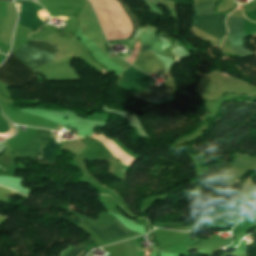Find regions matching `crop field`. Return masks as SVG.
<instances>
[{
	"instance_id": "crop-field-1",
	"label": "crop field",
	"mask_w": 256,
	"mask_h": 256,
	"mask_svg": "<svg viewBox=\"0 0 256 256\" xmlns=\"http://www.w3.org/2000/svg\"><path fill=\"white\" fill-rule=\"evenodd\" d=\"M150 78L130 66L121 73L118 85L129 93H136L149 88ZM153 82L154 79H151L150 88L146 92L131 95L142 102H152L156 105L173 98L169 91L163 88L153 87Z\"/></svg>"
},
{
	"instance_id": "crop-field-2",
	"label": "crop field",
	"mask_w": 256,
	"mask_h": 256,
	"mask_svg": "<svg viewBox=\"0 0 256 256\" xmlns=\"http://www.w3.org/2000/svg\"><path fill=\"white\" fill-rule=\"evenodd\" d=\"M14 53L34 70L52 62L56 56L55 48L51 44L35 40L26 41Z\"/></svg>"
},
{
	"instance_id": "crop-field-3",
	"label": "crop field",
	"mask_w": 256,
	"mask_h": 256,
	"mask_svg": "<svg viewBox=\"0 0 256 256\" xmlns=\"http://www.w3.org/2000/svg\"><path fill=\"white\" fill-rule=\"evenodd\" d=\"M38 75L19 61L12 52L0 67V81L11 86H23Z\"/></svg>"
},
{
	"instance_id": "crop-field-4",
	"label": "crop field",
	"mask_w": 256,
	"mask_h": 256,
	"mask_svg": "<svg viewBox=\"0 0 256 256\" xmlns=\"http://www.w3.org/2000/svg\"><path fill=\"white\" fill-rule=\"evenodd\" d=\"M245 27V38L256 34V23L243 18ZM242 18L228 17L226 25L229 30L230 46L232 50L241 58L252 55L254 53L244 49V27Z\"/></svg>"
},
{
	"instance_id": "crop-field-5",
	"label": "crop field",
	"mask_w": 256,
	"mask_h": 256,
	"mask_svg": "<svg viewBox=\"0 0 256 256\" xmlns=\"http://www.w3.org/2000/svg\"><path fill=\"white\" fill-rule=\"evenodd\" d=\"M16 5L20 4L19 8V24L28 26L34 30H37L40 25L44 24L48 15L37 3L30 1H17L15 0Z\"/></svg>"
},
{
	"instance_id": "crop-field-6",
	"label": "crop field",
	"mask_w": 256,
	"mask_h": 256,
	"mask_svg": "<svg viewBox=\"0 0 256 256\" xmlns=\"http://www.w3.org/2000/svg\"><path fill=\"white\" fill-rule=\"evenodd\" d=\"M225 17L226 16L223 14L193 16V25L222 39L226 33V26L224 24Z\"/></svg>"
},
{
	"instance_id": "crop-field-7",
	"label": "crop field",
	"mask_w": 256,
	"mask_h": 256,
	"mask_svg": "<svg viewBox=\"0 0 256 256\" xmlns=\"http://www.w3.org/2000/svg\"><path fill=\"white\" fill-rule=\"evenodd\" d=\"M87 227H89L96 235L97 237L102 240L103 242L117 239L120 237L128 236L131 234H135L134 232H131L124 228L116 219L114 222H112L108 227L104 229H97L95 228L89 221L81 218L80 219Z\"/></svg>"
},
{
	"instance_id": "crop-field-8",
	"label": "crop field",
	"mask_w": 256,
	"mask_h": 256,
	"mask_svg": "<svg viewBox=\"0 0 256 256\" xmlns=\"http://www.w3.org/2000/svg\"><path fill=\"white\" fill-rule=\"evenodd\" d=\"M51 131L39 129L35 135L32 142L22 148L16 149L14 151L8 152L7 154L14 157H36L41 153L40 149L42 148L44 142L50 135Z\"/></svg>"
},
{
	"instance_id": "crop-field-9",
	"label": "crop field",
	"mask_w": 256,
	"mask_h": 256,
	"mask_svg": "<svg viewBox=\"0 0 256 256\" xmlns=\"http://www.w3.org/2000/svg\"><path fill=\"white\" fill-rule=\"evenodd\" d=\"M59 146H60V144L54 143L52 141V139L50 138L47 146L43 147V149H42V152H43L42 157L45 158L47 161H49L50 165H53L56 162L54 153H55L56 149L59 148Z\"/></svg>"
},
{
	"instance_id": "crop-field-10",
	"label": "crop field",
	"mask_w": 256,
	"mask_h": 256,
	"mask_svg": "<svg viewBox=\"0 0 256 256\" xmlns=\"http://www.w3.org/2000/svg\"><path fill=\"white\" fill-rule=\"evenodd\" d=\"M119 2H120V4H121V6H122V8H123V10H124V12H125V14L127 15V17H128V19H129V21H130V23H131V25H132V28H133V32L131 33V35L129 36V37H127V38H125V39H129V38H131V36L134 34V32L137 30V28H138V20H137V17L136 16H134L130 11H129V9L126 7V5L122 2V0H118ZM118 2V3H119ZM125 39H121V40H125ZM115 41V40H114Z\"/></svg>"
},
{
	"instance_id": "crop-field-11",
	"label": "crop field",
	"mask_w": 256,
	"mask_h": 256,
	"mask_svg": "<svg viewBox=\"0 0 256 256\" xmlns=\"http://www.w3.org/2000/svg\"><path fill=\"white\" fill-rule=\"evenodd\" d=\"M217 6L216 3H209L195 6V13L196 15H203V14H215V8Z\"/></svg>"
},
{
	"instance_id": "crop-field-12",
	"label": "crop field",
	"mask_w": 256,
	"mask_h": 256,
	"mask_svg": "<svg viewBox=\"0 0 256 256\" xmlns=\"http://www.w3.org/2000/svg\"><path fill=\"white\" fill-rule=\"evenodd\" d=\"M95 242L93 239H91L90 241L88 242H85L79 246H77L75 249H73L72 251H70L66 256H77V254L84 250L86 247H88L91 243ZM87 253V251L83 252V253H79L80 256H85ZM79 256V255H78Z\"/></svg>"
},
{
	"instance_id": "crop-field-13",
	"label": "crop field",
	"mask_w": 256,
	"mask_h": 256,
	"mask_svg": "<svg viewBox=\"0 0 256 256\" xmlns=\"http://www.w3.org/2000/svg\"><path fill=\"white\" fill-rule=\"evenodd\" d=\"M246 17L256 22V9L253 12H244Z\"/></svg>"
},
{
	"instance_id": "crop-field-14",
	"label": "crop field",
	"mask_w": 256,
	"mask_h": 256,
	"mask_svg": "<svg viewBox=\"0 0 256 256\" xmlns=\"http://www.w3.org/2000/svg\"><path fill=\"white\" fill-rule=\"evenodd\" d=\"M61 128H62V126L58 125V126H57V128H56L55 130L60 131V130H61Z\"/></svg>"
},
{
	"instance_id": "crop-field-15",
	"label": "crop field",
	"mask_w": 256,
	"mask_h": 256,
	"mask_svg": "<svg viewBox=\"0 0 256 256\" xmlns=\"http://www.w3.org/2000/svg\"><path fill=\"white\" fill-rule=\"evenodd\" d=\"M128 57H129V56H127V57H126V58H124V59H125V60H128Z\"/></svg>"
},
{
	"instance_id": "crop-field-16",
	"label": "crop field",
	"mask_w": 256,
	"mask_h": 256,
	"mask_svg": "<svg viewBox=\"0 0 256 256\" xmlns=\"http://www.w3.org/2000/svg\"><path fill=\"white\" fill-rule=\"evenodd\" d=\"M6 1H11V0H6Z\"/></svg>"
}]
</instances>
